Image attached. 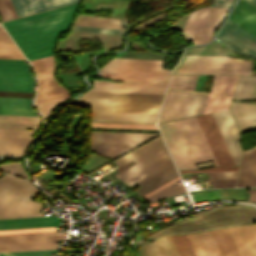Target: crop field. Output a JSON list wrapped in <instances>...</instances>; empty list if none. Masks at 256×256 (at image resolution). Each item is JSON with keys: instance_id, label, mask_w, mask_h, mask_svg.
<instances>
[{"instance_id": "1", "label": "crop field", "mask_w": 256, "mask_h": 256, "mask_svg": "<svg viewBox=\"0 0 256 256\" xmlns=\"http://www.w3.org/2000/svg\"><path fill=\"white\" fill-rule=\"evenodd\" d=\"M80 3V2H79ZM79 3L3 22L29 61L52 55L61 31H67Z\"/></svg>"}, {"instance_id": "2", "label": "crop field", "mask_w": 256, "mask_h": 256, "mask_svg": "<svg viewBox=\"0 0 256 256\" xmlns=\"http://www.w3.org/2000/svg\"><path fill=\"white\" fill-rule=\"evenodd\" d=\"M135 161L137 164L114 175L129 186L138 183L143 188L137 190L141 195L179 176L174 167L162 137L138 148L115 161L121 166Z\"/></svg>"}, {"instance_id": "3", "label": "crop field", "mask_w": 256, "mask_h": 256, "mask_svg": "<svg viewBox=\"0 0 256 256\" xmlns=\"http://www.w3.org/2000/svg\"><path fill=\"white\" fill-rule=\"evenodd\" d=\"M164 60L114 58L99 68L100 73H118L116 79L125 82L94 80L93 84L166 86L171 70L162 69Z\"/></svg>"}, {"instance_id": "4", "label": "crop field", "mask_w": 256, "mask_h": 256, "mask_svg": "<svg viewBox=\"0 0 256 256\" xmlns=\"http://www.w3.org/2000/svg\"><path fill=\"white\" fill-rule=\"evenodd\" d=\"M164 94L87 92L72 104L92 111L158 113Z\"/></svg>"}, {"instance_id": "5", "label": "crop field", "mask_w": 256, "mask_h": 256, "mask_svg": "<svg viewBox=\"0 0 256 256\" xmlns=\"http://www.w3.org/2000/svg\"><path fill=\"white\" fill-rule=\"evenodd\" d=\"M38 192L32 183L7 174L0 177V218L43 216L42 204L31 200Z\"/></svg>"}, {"instance_id": "6", "label": "crop field", "mask_w": 256, "mask_h": 256, "mask_svg": "<svg viewBox=\"0 0 256 256\" xmlns=\"http://www.w3.org/2000/svg\"><path fill=\"white\" fill-rule=\"evenodd\" d=\"M252 61L226 56H182L173 74H250Z\"/></svg>"}, {"instance_id": "7", "label": "crop field", "mask_w": 256, "mask_h": 256, "mask_svg": "<svg viewBox=\"0 0 256 256\" xmlns=\"http://www.w3.org/2000/svg\"><path fill=\"white\" fill-rule=\"evenodd\" d=\"M158 135L160 133L90 131L91 151L114 160Z\"/></svg>"}, {"instance_id": "8", "label": "crop field", "mask_w": 256, "mask_h": 256, "mask_svg": "<svg viewBox=\"0 0 256 256\" xmlns=\"http://www.w3.org/2000/svg\"><path fill=\"white\" fill-rule=\"evenodd\" d=\"M207 95L168 88L158 122L202 113Z\"/></svg>"}, {"instance_id": "9", "label": "crop field", "mask_w": 256, "mask_h": 256, "mask_svg": "<svg viewBox=\"0 0 256 256\" xmlns=\"http://www.w3.org/2000/svg\"><path fill=\"white\" fill-rule=\"evenodd\" d=\"M228 10L208 7L192 12L183 30L182 37L184 40L193 41L194 45L210 41Z\"/></svg>"}, {"instance_id": "10", "label": "crop field", "mask_w": 256, "mask_h": 256, "mask_svg": "<svg viewBox=\"0 0 256 256\" xmlns=\"http://www.w3.org/2000/svg\"><path fill=\"white\" fill-rule=\"evenodd\" d=\"M173 122L195 169V163L209 160L218 166L195 117Z\"/></svg>"}, {"instance_id": "11", "label": "crop field", "mask_w": 256, "mask_h": 256, "mask_svg": "<svg viewBox=\"0 0 256 256\" xmlns=\"http://www.w3.org/2000/svg\"><path fill=\"white\" fill-rule=\"evenodd\" d=\"M33 79L23 60L0 59V90L32 91Z\"/></svg>"}, {"instance_id": "12", "label": "crop field", "mask_w": 256, "mask_h": 256, "mask_svg": "<svg viewBox=\"0 0 256 256\" xmlns=\"http://www.w3.org/2000/svg\"><path fill=\"white\" fill-rule=\"evenodd\" d=\"M219 166L235 165L211 113L196 117Z\"/></svg>"}, {"instance_id": "13", "label": "crop field", "mask_w": 256, "mask_h": 256, "mask_svg": "<svg viewBox=\"0 0 256 256\" xmlns=\"http://www.w3.org/2000/svg\"><path fill=\"white\" fill-rule=\"evenodd\" d=\"M217 38L241 53L256 56V37L229 19Z\"/></svg>"}, {"instance_id": "14", "label": "crop field", "mask_w": 256, "mask_h": 256, "mask_svg": "<svg viewBox=\"0 0 256 256\" xmlns=\"http://www.w3.org/2000/svg\"><path fill=\"white\" fill-rule=\"evenodd\" d=\"M33 130L0 129V155L24 157Z\"/></svg>"}, {"instance_id": "15", "label": "crop field", "mask_w": 256, "mask_h": 256, "mask_svg": "<svg viewBox=\"0 0 256 256\" xmlns=\"http://www.w3.org/2000/svg\"><path fill=\"white\" fill-rule=\"evenodd\" d=\"M236 165H239L242 150L238 144L239 131L228 110L212 113Z\"/></svg>"}, {"instance_id": "16", "label": "crop field", "mask_w": 256, "mask_h": 256, "mask_svg": "<svg viewBox=\"0 0 256 256\" xmlns=\"http://www.w3.org/2000/svg\"><path fill=\"white\" fill-rule=\"evenodd\" d=\"M179 169H194L172 121L158 124Z\"/></svg>"}, {"instance_id": "17", "label": "crop field", "mask_w": 256, "mask_h": 256, "mask_svg": "<svg viewBox=\"0 0 256 256\" xmlns=\"http://www.w3.org/2000/svg\"><path fill=\"white\" fill-rule=\"evenodd\" d=\"M228 229L240 256H256V224Z\"/></svg>"}, {"instance_id": "18", "label": "crop field", "mask_w": 256, "mask_h": 256, "mask_svg": "<svg viewBox=\"0 0 256 256\" xmlns=\"http://www.w3.org/2000/svg\"><path fill=\"white\" fill-rule=\"evenodd\" d=\"M229 19L256 36V7L246 0L237 2Z\"/></svg>"}, {"instance_id": "19", "label": "crop field", "mask_w": 256, "mask_h": 256, "mask_svg": "<svg viewBox=\"0 0 256 256\" xmlns=\"http://www.w3.org/2000/svg\"><path fill=\"white\" fill-rule=\"evenodd\" d=\"M80 0H12L17 16H24Z\"/></svg>"}, {"instance_id": "20", "label": "crop field", "mask_w": 256, "mask_h": 256, "mask_svg": "<svg viewBox=\"0 0 256 256\" xmlns=\"http://www.w3.org/2000/svg\"><path fill=\"white\" fill-rule=\"evenodd\" d=\"M92 121L156 123L158 114L92 112Z\"/></svg>"}, {"instance_id": "21", "label": "crop field", "mask_w": 256, "mask_h": 256, "mask_svg": "<svg viewBox=\"0 0 256 256\" xmlns=\"http://www.w3.org/2000/svg\"><path fill=\"white\" fill-rule=\"evenodd\" d=\"M187 236L196 256H221L210 231Z\"/></svg>"}, {"instance_id": "22", "label": "crop field", "mask_w": 256, "mask_h": 256, "mask_svg": "<svg viewBox=\"0 0 256 256\" xmlns=\"http://www.w3.org/2000/svg\"><path fill=\"white\" fill-rule=\"evenodd\" d=\"M256 186V146L243 154L237 187Z\"/></svg>"}, {"instance_id": "23", "label": "crop field", "mask_w": 256, "mask_h": 256, "mask_svg": "<svg viewBox=\"0 0 256 256\" xmlns=\"http://www.w3.org/2000/svg\"><path fill=\"white\" fill-rule=\"evenodd\" d=\"M230 110L241 131L256 128V105L232 102Z\"/></svg>"}, {"instance_id": "24", "label": "crop field", "mask_w": 256, "mask_h": 256, "mask_svg": "<svg viewBox=\"0 0 256 256\" xmlns=\"http://www.w3.org/2000/svg\"><path fill=\"white\" fill-rule=\"evenodd\" d=\"M59 217L0 219V229L57 226Z\"/></svg>"}, {"instance_id": "25", "label": "crop field", "mask_w": 256, "mask_h": 256, "mask_svg": "<svg viewBox=\"0 0 256 256\" xmlns=\"http://www.w3.org/2000/svg\"><path fill=\"white\" fill-rule=\"evenodd\" d=\"M69 94L70 92L65 90L54 76L49 77L38 81L35 104Z\"/></svg>"}, {"instance_id": "26", "label": "crop field", "mask_w": 256, "mask_h": 256, "mask_svg": "<svg viewBox=\"0 0 256 256\" xmlns=\"http://www.w3.org/2000/svg\"><path fill=\"white\" fill-rule=\"evenodd\" d=\"M30 100L31 98L0 96V114L38 116L35 111L30 109Z\"/></svg>"}, {"instance_id": "27", "label": "crop field", "mask_w": 256, "mask_h": 256, "mask_svg": "<svg viewBox=\"0 0 256 256\" xmlns=\"http://www.w3.org/2000/svg\"><path fill=\"white\" fill-rule=\"evenodd\" d=\"M74 26L124 30L119 19L79 15Z\"/></svg>"}, {"instance_id": "28", "label": "crop field", "mask_w": 256, "mask_h": 256, "mask_svg": "<svg viewBox=\"0 0 256 256\" xmlns=\"http://www.w3.org/2000/svg\"><path fill=\"white\" fill-rule=\"evenodd\" d=\"M65 236H55V231L0 234V243L2 242H20V241H38V240H56L64 239Z\"/></svg>"}, {"instance_id": "29", "label": "crop field", "mask_w": 256, "mask_h": 256, "mask_svg": "<svg viewBox=\"0 0 256 256\" xmlns=\"http://www.w3.org/2000/svg\"><path fill=\"white\" fill-rule=\"evenodd\" d=\"M222 256H239L227 228L211 231Z\"/></svg>"}, {"instance_id": "30", "label": "crop field", "mask_w": 256, "mask_h": 256, "mask_svg": "<svg viewBox=\"0 0 256 256\" xmlns=\"http://www.w3.org/2000/svg\"><path fill=\"white\" fill-rule=\"evenodd\" d=\"M166 87L94 85L89 91L164 93Z\"/></svg>"}, {"instance_id": "31", "label": "crop field", "mask_w": 256, "mask_h": 256, "mask_svg": "<svg viewBox=\"0 0 256 256\" xmlns=\"http://www.w3.org/2000/svg\"><path fill=\"white\" fill-rule=\"evenodd\" d=\"M41 117L0 115V127L36 128Z\"/></svg>"}, {"instance_id": "32", "label": "crop field", "mask_w": 256, "mask_h": 256, "mask_svg": "<svg viewBox=\"0 0 256 256\" xmlns=\"http://www.w3.org/2000/svg\"><path fill=\"white\" fill-rule=\"evenodd\" d=\"M59 245L53 241L43 242H23V243H3L0 244V252L5 251H20V250H35V249H50L57 248Z\"/></svg>"}, {"instance_id": "33", "label": "crop field", "mask_w": 256, "mask_h": 256, "mask_svg": "<svg viewBox=\"0 0 256 256\" xmlns=\"http://www.w3.org/2000/svg\"><path fill=\"white\" fill-rule=\"evenodd\" d=\"M213 188L235 187L238 172L206 173Z\"/></svg>"}, {"instance_id": "34", "label": "crop field", "mask_w": 256, "mask_h": 256, "mask_svg": "<svg viewBox=\"0 0 256 256\" xmlns=\"http://www.w3.org/2000/svg\"><path fill=\"white\" fill-rule=\"evenodd\" d=\"M31 64L36 72L38 80L54 75L53 70L55 65V58L53 55L31 61Z\"/></svg>"}, {"instance_id": "35", "label": "crop field", "mask_w": 256, "mask_h": 256, "mask_svg": "<svg viewBox=\"0 0 256 256\" xmlns=\"http://www.w3.org/2000/svg\"><path fill=\"white\" fill-rule=\"evenodd\" d=\"M256 76L241 75L233 99H250Z\"/></svg>"}, {"instance_id": "36", "label": "crop field", "mask_w": 256, "mask_h": 256, "mask_svg": "<svg viewBox=\"0 0 256 256\" xmlns=\"http://www.w3.org/2000/svg\"><path fill=\"white\" fill-rule=\"evenodd\" d=\"M237 78V76H216L211 92L232 95Z\"/></svg>"}, {"instance_id": "37", "label": "crop field", "mask_w": 256, "mask_h": 256, "mask_svg": "<svg viewBox=\"0 0 256 256\" xmlns=\"http://www.w3.org/2000/svg\"><path fill=\"white\" fill-rule=\"evenodd\" d=\"M198 76L172 75L168 87L194 90Z\"/></svg>"}, {"instance_id": "38", "label": "crop field", "mask_w": 256, "mask_h": 256, "mask_svg": "<svg viewBox=\"0 0 256 256\" xmlns=\"http://www.w3.org/2000/svg\"><path fill=\"white\" fill-rule=\"evenodd\" d=\"M231 98L232 97L210 94L204 113L227 109Z\"/></svg>"}, {"instance_id": "39", "label": "crop field", "mask_w": 256, "mask_h": 256, "mask_svg": "<svg viewBox=\"0 0 256 256\" xmlns=\"http://www.w3.org/2000/svg\"><path fill=\"white\" fill-rule=\"evenodd\" d=\"M185 192L186 191H185L183 184L177 185L175 182L145 199L149 203H151L158 199H162L165 197H169V196H173V195H177V194H181V193H185Z\"/></svg>"}, {"instance_id": "40", "label": "crop field", "mask_w": 256, "mask_h": 256, "mask_svg": "<svg viewBox=\"0 0 256 256\" xmlns=\"http://www.w3.org/2000/svg\"><path fill=\"white\" fill-rule=\"evenodd\" d=\"M180 256H195L186 235L171 236Z\"/></svg>"}, {"instance_id": "41", "label": "crop field", "mask_w": 256, "mask_h": 256, "mask_svg": "<svg viewBox=\"0 0 256 256\" xmlns=\"http://www.w3.org/2000/svg\"><path fill=\"white\" fill-rule=\"evenodd\" d=\"M162 256H179L170 236L155 240Z\"/></svg>"}, {"instance_id": "42", "label": "crop field", "mask_w": 256, "mask_h": 256, "mask_svg": "<svg viewBox=\"0 0 256 256\" xmlns=\"http://www.w3.org/2000/svg\"><path fill=\"white\" fill-rule=\"evenodd\" d=\"M92 127L158 129L155 124L92 123Z\"/></svg>"}, {"instance_id": "43", "label": "crop field", "mask_w": 256, "mask_h": 256, "mask_svg": "<svg viewBox=\"0 0 256 256\" xmlns=\"http://www.w3.org/2000/svg\"><path fill=\"white\" fill-rule=\"evenodd\" d=\"M0 170H3V171H6V172H9V173H12L14 175H17V176H20V177H23V178H26L28 180H31L22 163L21 162H17V163H2L0 164Z\"/></svg>"}, {"instance_id": "44", "label": "crop field", "mask_w": 256, "mask_h": 256, "mask_svg": "<svg viewBox=\"0 0 256 256\" xmlns=\"http://www.w3.org/2000/svg\"><path fill=\"white\" fill-rule=\"evenodd\" d=\"M67 98L68 97L52 100V101H49V102L37 104L36 106L40 110V112L42 113L44 118H47V116L52 111H54L57 107H59L61 104H63Z\"/></svg>"}, {"instance_id": "45", "label": "crop field", "mask_w": 256, "mask_h": 256, "mask_svg": "<svg viewBox=\"0 0 256 256\" xmlns=\"http://www.w3.org/2000/svg\"><path fill=\"white\" fill-rule=\"evenodd\" d=\"M0 57L25 58L15 44L0 43Z\"/></svg>"}, {"instance_id": "46", "label": "crop field", "mask_w": 256, "mask_h": 256, "mask_svg": "<svg viewBox=\"0 0 256 256\" xmlns=\"http://www.w3.org/2000/svg\"><path fill=\"white\" fill-rule=\"evenodd\" d=\"M0 16L3 21L17 17L10 0H0Z\"/></svg>"}, {"instance_id": "47", "label": "crop field", "mask_w": 256, "mask_h": 256, "mask_svg": "<svg viewBox=\"0 0 256 256\" xmlns=\"http://www.w3.org/2000/svg\"><path fill=\"white\" fill-rule=\"evenodd\" d=\"M57 249L50 250H35V251H21V252H6L0 253V256H35V255H49L51 252H56Z\"/></svg>"}, {"instance_id": "48", "label": "crop field", "mask_w": 256, "mask_h": 256, "mask_svg": "<svg viewBox=\"0 0 256 256\" xmlns=\"http://www.w3.org/2000/svg\"><path fill=\"white\" fill-rule=\"evenodd\" d=\"M140 256H161L155 242L150 244H142Z\"/></svg>"}, {"instance_id": "49", "label": "crop field", "mask_w": 256, "mask_h": 256, "mask_svg": "<svg viewBox=\"0 0 256 256\" xmlns=\"http://www.w3.org/2000/svg\"><path fill=\"white\" fill-rule=\"evenodd\" d=\"M238 171V167H211L202 170L179 171V173Z\"/></svg>"}, {"instance_id": "50", "label": "crop field", "mask_w": 256, "mask_h": 256, "mask_svg": "<svg viewBox=\"0 0 256 256\" xmlns=\"http://www.w3.org/2000/svg\"><path fill=\"white\" fill-rule=\"evenodd\" d=\"M73 30L123 35L124 31L74 27Z\"/></svg>"}, {"instance_id": "51", "label": "crop field", "mask_w": 256, "mask_h": 256, "mask_svg": "<svg viewBox=\"0 0 256 256\" xmlns=\"http://www.w3.org/2000/svg\"><path fill=\"white\" fill-rule=\"evenodd\" d=\"M47 230H55V228H54V227H47V228H31V229L0 230V233L31 232V231H47Z\"/></svg>"}, {"instance_id": "52", "label": "crop field", "mask_w": 256, "mask_h": 256, "mask_svg": "<svg viewBox=\"0 0 256 256\" xmlns=\"http://www.w3.org/2000/svg\"><path fill=\"white\" fill-rule=\"evenodd\" d=\"M234 0H214L212 6L231 8Z\"/></svg>"}, {"instance_id": "53", "label": "crop field", "mask_w": 256, "mask_h": 256, "mask_svg": "<svg viewBox=\"0 0 256 256\" xmlns=\"http://www.w3.org/2000/svg\"><path fill=\"white\" fill-rule=\"evenodd\" d=\"M34 93H25V92H6L0 91L1 96H21V97H31Z\"/></svg>"}, {"instance_id": "54", "label": "crop field", "mask_w": 256, "mask_h": 256, "mask_svg": "<svg viewBox=\"0 0 256 256\" xmlns=\"http://www.w3.org/2000/svg\"><path fill=\"white\" fill-rule=\"evenodd\" d=\"M0 42L13 43V41L10 39V37L7 35V33L1 27V25H0Z\"/></svg>"}, {"instance_id": "55", "label": "crop field", "mask_w": 256, "mask_h": 256, "mask_svg": "<svg viewBox=\"0 0 256 256\" xmlns=\"http://www.w3.org/2000/svg\"><path fill=\"white\" fill-rule=\"evenodd\" d=\"M178 179H180V177H177V178H175V179H173V180L167 182L166 184H164V185H162V186H160V187L154 189L153 191H151V192H149V193H147V194H145V195H143V196H141V197L145 198V197H147V196L153 194L154 192H156V191L162 189L163 187H165V186L171 184L172 182H174V181H176V180H178Z\"/></svg>"}, {"instance_id": "56", "label": "crop field", "mask_w": 256, "mask_h": 256, "mask_svg": "<svg viewBox=\"0 0 256 256\" xmlns=\"http://www.w3.org/2000/svg\"><path fill=\"white\" fill-rule=\"evenodd\" d=\"M249 202L256 203V190H250Z\"/></svg>"}, {"instance_id": "57", "label": "crop field", "mask_w": 256, "mask_h": 256, "mask_svg": "<svg viewBox=\"0 0 256 256\" xmlns=\"http://www.w3.org/2000/svg\"><path fill=\"white\" fill-rule=\"evenodd\" d=\"M247 1H249L250 3L256 6V0H247Z\"/></svg>"}, {"instance_id": "58", "label": "crop field", "mask_w": 256, "mask_h": 256, "mask_svg": "<svg viewBox=\"0 0 256 256\" xmlns=\"http://www.w3.org/2000/svg\"><path fill=\"white\" fill-rule=\"evenodd\" d=\"M52 256H56V255H52Z\"/></svg>"}]
</instances>
